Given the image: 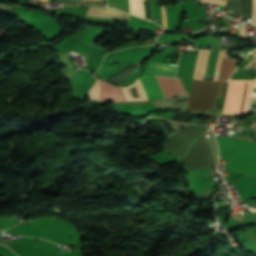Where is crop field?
I'll return each mask as SVG.
<instances>
[{
  "label": "crop field",
  "mask_w": 256,
  "mask_h": 256,
  "mask_svg": "<svg viewBox=\"0 0 256 256\" xmlns=\"http://www.w3.org/2000/svg\"><path fill=\"white\" fill-rule=\"evenodd\" d=\"M108 6L115 7L129 13L128 0H108Z\"/></svg>",
  "instance_id": "13"
},
{
  "label": "crop field",
  "mask_w": 256,
  "mask_h": 256,
  "mask_svg": "<svg viewBox=\"0 0 256 256\" xmlns=\"http://www.w3.org/2000/svg\"><path fill=\"white\" fill-rule=\"evenodd\" d=\"M253 86H256V79L254 80Z\"/></svg>",
  "instance_id": "22"
},
{
  "label": "crop field",
  "mask_w": 256,
  "mask_h": 256,
  "mask_svg": "<svg viewBox=\"0 0 256 256\" xmlns=\"http://www.w3.org/2000/svg\"><path fill=\"white\" fill-rule=\"evenodd\" d=\"M254 117V120L256 121V115L255 116H253Z\"/></svg>",
  "instance_id": "24"
},
{
  "label": "crop field",
  "mask_w": 256,
  "mask_h": 256,
  "mask_svg": "<svg viewBox=\"0 0 256 256\" xmlns=\"http://www.w3.org/2000/svg\"><path fill=\"white\" fill-rule=\"evenodd\" d=\"M130 13L145 18L142 0H129Z\"/></svg>",
  "instance_id": "12"
},
{
  "label": "crop field",
  "mask_w": 256,
  "mask_h": 256,
  "mask_svg": "<svg viewBox=\"0 0 256 256\" xmlns=\"http://www.w3.org/2000/svg\"><path fill=\"white\" fill-rule=\"evenodd\" d=\"M206 128L207 127L204 126L194 125L185 130H182L170 137L163 145V148L171 154L181 158L193 140L203 131H205Z\"/></svg>",
  "instance_id": "5"
},
{
  "label": "crop field",
  "mask_w": 256,
  "mask_h": 256,
  "mask_svg": "<svg viewBox=\"0 0 256 256\" xmlns=\"http://www.w3.org/2000/svg\"><path fill=\"white\" fill-rule=\"evenodd\" d=\"M226 7L233 10L237 14L241 15V7H242L241 4H236V3H232V2L227 1Z\"/></svg>",
  "instance_id": "15"
},
{
  "label": "crop field",
  "mask_w": 256,
  "mask_h": 256,
  "mask_svg": "<svg viewBox=\"0 0 256 256\" xmlns=\"http://www.w3.org/2000/svg\"><path fill=\"white\" fill-rule=\"evenodd\" d=\"M241 39L247 38L246 28H239Z\"/></svg>",
  "instance_id": "19"
},
{
  "label": "crop field",
  "mask_w": 256,
  "mask_h": 256,
  "mask_svg": "<svg viewBox=\"0 0 256 256\" xmlns=\"http://www.w3.org/2000/svg\"><path fill=\"white\" fill-rule=\"evenodd\" d=\"M175 71L176 66L150 62L145 72L174 77Z\"/></svg>",
  "instance_id": "9"
},
{
  "label": "crop field",
  "mask_w": 256,
  "mask_h": 256,
  "mask_svg": "<svg viewBox=\"0 0 256 256\" xmlns=\"http://www.w3.org/2000/svg\"><path fill=\"white\" fill-rule=\"evenodd\" d=\"M251 128L256 129V122H254V124L251 126Z\"/></svg>",
  "instance_id": "21"
},
{
  "label": "crop field",
  "mask_w": 256,
  "mask_h": 256,
  "mask_svg": "<svg viewBox=\"0 0 256 256\" xmlns=\"http://www.w3.org/2000/svg\"><path fill=\"white\" fill-rule=\"evenodd\" d=\"M140 79L149 100L165 98L155 75H143Z\"/></svg>",
  "instance_id": "7"
},
{
  "label": "crop field",
  "mask_w": 256,
  "mask_h": 256,
  "mask_svg": "<svg viewBox=\"0 0 256 256\" xmlns=\"http://www.w3.org/2000/svg\"><path fill=\"white\" fill-rule=\"evenodd\" d=\"M180 160L190 172L215 165L204 134L193 143L186 156Z\"/></svg>",
  "instance_id": "4"
},
{
  "label": "crop field",
  "mask_w": 256,
  "mask_h": 256,
  "mask_svg": "<svg viewBox=\"0 0 256 256\" xmlns=\"http://www.w3.org/2000/svg\"><path fill=\"white\" fill-rule=\"evenodd\" d=\"M89 98L104 102L130 100L124 88H116L98 80L95 85L91 89H89Z\"/></svg>",
  "instance_id": "6"
},
{
  "label": "crop field",
  "mask_w": 256,
  "mask_h": 256,
  "mask_svg": "<svg viewBox=\"0 0 256 256\" xmlns=\"http://www.w3.org/2000/svg\"><path fill=\"white\" fill-rule=\"evenodd\" d=\"M220 144L256 152V143L235 138L217 139ZM220 157L226 160L229 171L256 177V153L220 145Z\"/></svg>",
  "instance_id": "1"
},
{
  "label": "crop field",
  "mask_w": 256,
  "mask_h": 256,
  "mask_svg": "<svg viewBox=\"0 0 256 256\" xmlns=\"http://www.w3.org/2000/svg\"><path fill=\"white\" fill-rule=\"evenodd\" d=\"M227 52L228 51L220 50L219 57H218V62H217V67H216V71H215V75H214V79L213 80H218L219 68H220L221 60H222V57H227Z\"/></svg>",
  "instance_id": "14"
},
{
  "label": "crop field",
  "mask_w": 256,
  "mask_h": 256,
  "mask_svg": "<svg viewBox=\"0 0 256 256\" xmlns=\"http://www.w3.org/2000/svg\"><path fill=\"white\" fill-rule=\"evenodd\" d=\"M249 109H256V87H253L252 89Z\"/></svg>",
  "instance_id": "16"
},
{
  "label": "crop field",
  "mask_w": 256,
  "mask_h": 256,
  "mask_svg": "<svg viewBox=\"0 0 256 256\" xmlns=\"http://www.w3.org/2000/svg\"><path fill=\"white\" fill-rule=\"evenodd\" d=\"M82 1H97V0H82Z\"/></svg>",
  "instance_id": "23"
},
{
  "label": "crop field",
  "mask_w": 256,
  "mask_h": 256,
  "mask_svg": "<svg viewBox=\"0 0 256 256\" xmlns=\"http://www.w3.org/2000/svg\"><path fill=\"white\" fill-rule=\"evenodd\" d=\"M240 3L243 4L242 14L252 15V0H241ZM251 25L256 27V0H253V18Z\"/></svg>",
  "instance_id": "11"
},
{
  "label": "crop field",
  "mask_w": 256,
  "mask_h": 256,
  "mask_svg": "<svg viewBox=\"0 0 256 256\" xmlns=\"http://www.w3.org/2000/svg\"><path fill=\"white\" fill-rule=\"evenodd\" d=\"M87 16L129 20L128 15L125 13L100 7H90Z\"/></svg>",
  "instance_id": "8"
},
{
  "label": "crop field",
  "mask_w": 256,
  "mask_h": 256,
  "mask_svg": "<svg viewBox=\"0 0 256 256\" xmlns=\"http://www.w3.org/2000/svg\"><path fill=\"white\" fill-rule=\"evenodd\" d=\"M204 3H213V4H218V5H225L226 1L224 0H202Z\"/></svg>",
  "instance_id": "17"
},
{
  "label": "crop field",
  "mask_w": 256,
  "mask_h": 256,
  "mask_svg": "<svg viewBox=\"0 0 256 256\" xmlns=\"http://www.w3.org/2000/svg\"><path fill=\"white\" fill-rule=\"evenodd\" d=\"M247 68H251V69L256 68V58L252 61V63Z\"/></svg>",
  "instance_id": "20"
},
{
  "label": "crop field",
  "mask_w": 256,
  "mask_h": 256,
  "mask_svg": "<svg viewBox=\"0 0 256 256\" xmlns=\"http://www.w3.org/2000/svg\"><path fill=\"white\" fill-rule=\"evenodd\" d=\"M253 81L230 80L223 114L247 113Z\"/></svg>",
  "instance_id": "3"
},
{
  "label": "crop field",
  "mask_w": 256,
  "mask_h": 256,
  "mask_svg": "<svg viewBox=\"0 0 256 256\" xmlns=\"http://www.w3.org/2000/svg\"><path fill=\"white\" fill-rule=\"evenodd\" d=\"M161 9H162V15H163V26L167 27L165 6H161Z\"/></svg>",
  "instance_id": "18"
},
{
  "label": "crop field",
  "mask_w": 256,
  "mask_h": 256,
  "mask_svg": "<svg viewBox=\"0 0 256 256\" xmlns=\"http://www.w3.org/2000/svg\"><path fill=\"white\" fill-rule=\"evenodd\" d=\"M42 1H46L47 2V0H42Z\"/></svg>",
  "instance_id": "25"
},
{
  "label": "crop field",
  "mask_w": 256,
  "mask_h": 256,
  "mask_svg": "<svg viewBox=\"0 0 256 256\" xmlns=\"http://www.w3.org/2000/svg\"><path fill=\"white\" fill-rule=\"evenodd\" d=\"M226 82L193 80L188 110H215L216 96L223 97Z\"/></svg>",
  "instance_id": "2"
},
{
  "label": "crop field",
  "mask_w": 256,
  "mask_h": 256,
  "mask_svg": "<svg viewBox=\"0 0 256 256\" xmlns=\"http://www.w3.org/2000/svg\"><path fill=\"white\" fill-rule=\"evenodd\" d=\"M236 60L230 58H223L222 65L220 68V81L229 79L231 73L235 70Z\"/></svg>",
  "instance_id": "10"
}]
</instances>
